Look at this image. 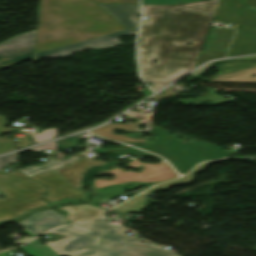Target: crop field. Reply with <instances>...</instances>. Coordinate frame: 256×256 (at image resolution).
Masks as SVG:
<instances>
[{"instance_id": "obj_1", "label": "crop field", "mask_w": 256, "mask_h": 256, "mask_svg": "<svg viewBox=\"0 0 256 256\" xmlns=\"http://www.w3.org/2000/svg\"><path fill=\"white\" fill-rule=\"evenodd\" d=\"M219 0L172 6L143 5L139 38L142 76L157 90L193 69ZM191 41V45H185ZM157 60L151 64V60Z\"/></svg>"}, {"instance_id": "obj_2", "label": "crop field", "mask_w": 256, "mask_h": 256, "mask_svg": "<svg viewBox=\"0 0 256 256\" xmlns=\"http://www.w3.org/2000/svg\"><path fill=\"white\" fill-rule=\"evenodd\" d=\"M38 20L35 52L124 30L92 0H41Z\"/></svg>"}, {"instance_id": "obj_3", "label": "crop field", "mask_w": 256, "mask_h": 256, "mask_svg": "<svg viewBox=\"0 0 256 256\" xmlns=\"http://www.w3.org/2000/svg\"><path fill=\"white\" fill-rule=\"evenodd\" d=\"M104 221L63 227L50 233L64 235L47 244L60 256H176L148 243H140Z\"/></svg>"}, {"instance_id": "obj_4", "label": "crop field", "mask_w": 256, "mask_h": 256, "mask_svg": "<svg viewBox=\"0 0 256 256\" xmlns=\"http://www.w3.org/2000/svg\"><path fill=\"white\" fill-rule=\"evenodd\" d=\"M156 130L158 135L151 144L136 146L165 157L181 174L187 173L198 162L231 154L212 144L191 137L189 138L195 142L184 144L174 138L184 135L174 134L169 136L170 132H167L166 129L158 128Z\"/></svg>"}, {"instance_id": "obj_5", "label": "crop field", "mask_w": 256, "mask_h": 256, "mask_svg": "<svg viewBox=\"0 0 256 256\" xmlns=\"http://www.w3.org/2000/svg\"><path fill=\"white\" fill-rule=\"evenodd\" d=\"M0 188L7 198L0 199V222L22 216L26 211L47 206L46 187L16 170L0 174Z\"/></svg>"}, {"instance_id": "obj_6", "label": "crop field", "mask_w": 256, "mask_h": 256, "mask_svg": "<svg viewBox=\"0 0 256 256\" xmlns=\"http://www.w3.org/2000/svg\"><path fill=\"white\" fill-rule=\"evenodd\" d=\"M138 159L139 158L133 160L130 163H127L126 165L132 168H138L140 167V165L144 166V170L141 171L139 174L132 171L124 172L117 167L112 170L97 173L102 174L110 172L116 176L113 180L94 179L93 185L96 187H105L108 185L121 184L125 182H161L177 177V174L173 172L172 168L167 162H162L163 165H160V163L156 165H151L139 163Z\"/></svg>"}, {"instance_id": "obj_7", "label": "crop field", "mask_w": 256, "mask_h": 256, "mask_svg": "<svg viewBox=\"0 0 256 256\" xmlns=\"http://www.w3.org/2000/svg\"><path fill=\"white\" fill-rule=\"evenodd\" d=\"M36 30L18 35L0 43V66L32 59L34 56Z\"/></svg>"}, {"instance_id": "obj_8", "label": "crop field", "mask_w": 256, "mask_h": 256, "mask_svg": "<svg viewBox=\"0 0 256 256\" xmlns=\"http://www.w3.org/2000/svg\"><path fill=\"white\" fill-rule=\"evenodd\" d=\"M134 34H137V31L124 30V31L104 35L92 40H87V41L55 48L52 50L40 52L35 54L34 58L49 57V56H51L52 58L66 57V56H69L74 51H78L86 48H106V47L120 44L118 37L134 35Z\"/></svg>"}, {"instance_id": "obj_9", "label": "crop field", "mask_w": 256, "mask_h": 256, "mask_svg": "<svg viewBox=\"0 0 256 256\" xmlns=\"http://www.w3.org/2000/svg\"><path fill=\"white\" fill-rule=\"evenodd\" d=\"M32 178L49 187L46 196L51 202H57L65 198L81 200L89 196L82 190L73 189L66 181L52 171L39 174Z\"/></svg>"}, {"instance_id": "obj_10", "label": "crop field", "mask_w": 256, "mask_h": 256, "mask_svg": "<svg viewBox=\"0 0 256 256\" xmlns=\"http://www.w3.org/2000/svg\"><path fill=\"white\" fill-rule=\"evenodd\" d=\"M40 213L41 215H39ZM67 221L66 215L58 214L53 210L48 209L36 212L27 219L18 221L16 223L37 236L49 229L56 228Z\"/></svg>"}, {"instance_id": "obj_11", "label": "crop field", "mask_w": 256, "mask_h": 256, "mask_svg": "<svg viewBox=\"0 0 256 256\" xmlns=\"http://www.w3.org/2000/svg\"><path fill=\"white\" fill-rule=\"evenodd\" d=\"M106 162L81 159L75 164L69 165L65 168H62L56 173L66 179L73 187L75 188H84L81 184V181L88 170L89 167L95 165H106Z\"/></svg>"}, {"instance_id": "obj_12", "label": "crop field", "mask_w": 256, "mask_h": 256, "mask_svg": "<svg viewBox=\"0 0 256 256\" xmlns=\"http://www.w3.org/2000/svg\"><path fill=\"white\" fill-rule=\"evenodd\" d=\"M126 29L137 30L139 22L132 17L140 14L139 5H100Z\"/></svg>"}, {"instance_id": "obj_13", "label": "crop field", "mask_w": 256, "mask_h": 256, "mask_svg": "<svg viewBox=\"0 0 256 256\" xmlns=\"http://www.w3.org/2000/svg\"><path fill=\"white\" fill-rule=\"evenodd\" d=\"M127 119L135 120V121H137V123L131 124V125H127V124H108V125L99 127L97 129L91 130V132L95 133V134H98V135H101V136H104V137H107V138H110V139L123 141V142H126V143L147 142L148 140L131 139L127 136L117 135V134L113 133L116 129L140 132L139 126L141 124H143V121L139 120V119L131 118V117H129Z\"/></svg>"}, {"instance_id": "obj_14", "label": "crop field", "mask_w": 256, "mask_h": 256, "mask_svg": "<svg viewBox=\"0 0 256 256\" xmlns=\"http://www.w3.org/2000/svg\"><path fill=\"white\" fill-rule=\"evenodd\" d=\"M69 212V222L90 221L101 217L107 210L99 209L89 205L61 207ZM75 209V210H73Z\"/></svg>"}, {"instance_id": "obj_15", "label": "crop field", "mask_w": 256, "mask_h": 256, "mask_svg": "<svg viewBox=\"0 0 256 256\" xmlns=\"http://www.w3.org/2000/svg\"><path fill=\"white\" fill-rule=\"evenodd\" d=\"M81 154H83V153H80L70 159H63V160L49 159V160H47L43 163H40L36 166L27 167V168H23V169H19V170L29 177L35 176L42 172H46V171H49L52 169L63 167L64 164H70V163L76 161L77 159H79L78 156Z\"/></svg>"}, {"instance_id": "obj_16", "label": "crop field", "mask_w": 256, "mask_h": 256, "mask_svg": "<svg viewBox=\"0 0 256 256\" xmlns=\"http://www.w3.org/2000/svg\"><path fill=\"white\" fill-rule=\"evenodd\" d=\"M254 74H256V67L221 74L209 81L256 82V77H252V75H254Z\"/></svg>"}, {"instance_id": "obj_17", "label": "crop field", "mask_w": 256, "mask_h": 256, "mask_svg": "<svg viewBox=\"0 0 256 256\" xmlns=\"http://www.w3.org/2000/svg\"><path fill=\"white\" fill-rule=\"evenodd\" d=\"M19 249L33 256H59L47 244L41 245L38 239L28 243L27 246L21 247Z\"/></svg>"}, {"instance_id": "obj_18", "label": "crop field", "mask_w": 256, "mask_h": 256, "mask_svg": "<svg viewBox=\"0 0 256 256\" xmlns=\"http://www.w3.org/2000/svg\"><path fill=\"white\" fill-rule=\"evenodd\" d=\"M146 203H147V200L144 198V195L140 194L113 209L122 213L138 211L142 209L143 205Z\"/></svg>"}, {"instance_id": "obj_19", "label": "crop field", "mask_w": 256, "mask_h": 256, "mask_svg": "<svg viewBox=\"0 0 256 256\" xmlns=\"http://www.w3.org/2000/svg\"><path fill=\"white\" fill-rule=\"evenodd\" d=\"M6 123V117L0 116V134L1 132H12V130L4 128ZM14 149H16L14 139L0 137V153Z\"/></svg>"}, {"instance_id": "obj_20", "label": "crop field", "mask_w": 256, "mask_h": 256, "mask_svg": "<svg viewBox=\"0 0 256 256\" xmlns=\"http://www.w3.org/2000/svg\"><path fill=\"white\" fill-rule=\"evenodd\" d=\"M223 160H224V159H223ZM210 162H213V161H210ZM207 163H209V162H205V163L199 165L198 167H196V168L194 169V171H193L192 173H190L188 176H186L185 178H183V179H181V180H176V181L168 182V183H166V184H164V185L157 186V187H155V188H153V189H151V190H149V191H147V192H145V193H146V194H149V193H151V192H153V191L156 192V191H158V190H164V189L169 188V186H170V185H173V184H178V183L185 184V183L191 181V179L193 178V174H194V173H196V172L202 170L204 167H206V164H207Z\"/></svg>"}, {"instance_id": "obj_21", "label": "crop field", "mask_w": 256, "mask_h": 256, "mask_svg": "<svg viewBox=\"0 0 256 256\" xmlns=\"http://www.w3.org/2000/svg\"><path fill=\"white\" fill-rule=\"evenodd\" d=\"M142 186H144V184L129 187V188L109 187V188L100 189L98 191L104 194V196L102 198L107 199V198L113 197V196L121 193L122 190H125V189L134 190V189L142 187Z\"/></svg>"}, {"instance_id": "obj_22", "label": "crop field", "mask_w": 256, "mask_h": 256, "mask_svg": "<svg viewBox=\"0 0 256 256\" xmlns=\"http://www.w3.org/2000/svg\"><path fill=\"white\" fill-rule=\"evenodd\" d=\"M226 52L202 50L196 64H200L206 60L213 58H220L225 55Z\"/></svg>"}, {"instance_id": "obj_23", "label": "crop field", "mask_w": 256, "mask_h": 256, "mask_svg": "<svg viewBox=\"0 0 256 256\" xmlns=\"http://www.w3.org/2000/svg\"><path fill=\"white\" fill-rule=\"evenodd\" d=\"M113 153L118 154V155H123L125 153H128V154L138 156V157H141V158H143V157H156V158L160 159L161 161L163 160V159L159 158L156 155H153V154H150V153H147V152H144V151H140V150L134 149L132 147H130L126 150L116 151V152H113Z\"/></svg>"}, {"instance_id": "obj_24", "label": "crop field", "mask_w": 256, "mask_h": 256, "mask_svg": "<svg viewBox=\"0 0 256 256\" xmlns=\"http://www.w3.org/2000/svg\"><path fill=\"white\" fill-rule=\"evenodd\" d=\"M54 136H56V130L55 129H48L43 130L42 133L34 135V142L39 143L46 140L52 139Z\"/></svg>"}, {"instance_id": "obj_25", "label": "crop field", "mask_w": 256, "mask_h": 256, "mask_svg": "<svg viewBox=\"0 0 256 256\" xmlns=\"http://www.w3.org/2000/svg\"><path fill=\"white\" fill-rule=\"evenodd\" d=\"M11 163H17L16 152L0 157V169L8 166Z\"/></svg>"}, {"instance_id": "obj_26", "label": "crop field", "mask_w": 256, "mask_h": 256, "mask_svg": "<svg viewBox=\"0 0 256 256\" xmlns=\"http://www.w3.org/2000/svg\"><path fill=\"white\" fill-rule=\"evenodd\" d=\"M171 89H173V88L169 87L166 90H164V94L163 95H156V96L152 97L151 99L160 101V100L165 99V98L182 95V94L170 91Z\"/></svg>"}, {"instance_id": "obj_27", "label": "crop field", "mask_w": 256, "mask_h": 256, "mask_svg": "<svg viewBox=\"0 0 256 256\" xmlns=\"http://www.w3.org/2000/svg\"><path fill=\"white\" fill-rule=\"evenodd\" d=\"M96 3H130L138 4V0H94Z\"/></svg>"}, {"instance_id": "obj_28", "label": "crop field", "mask_w": 256, "mask_h": 256, "mask_svg": "<svg viewBox=\"0 0 256 256\" xmlns=\"http://www.w3.org/2000/svg\"><path fill=\"white\" fill-rule=\"evenodd\" d=\"M43 149H46V150L52 149V152H56L55 142L47 144V145L39 146V147H36V148H32L31 151L39 152Z\"/></svg>"}, {"instance_id": "obj_29", "label": "crop field", "mask_w": 256, "mask_h": 256, "mask_svg": "<svg viewBox=\"0 0 256 256\" xmlns=\"http://www.w3.org/2000/svg\"><path fill=\"white\" fill-rule=\"evenodd\" d=\"M142 3L175 4L179 2L176 0H142Z\"/></svg>"}, {"instance_id": "obj_30", "label": "crop field", "mask_w": 256, "mask_h": 256, "mask_svg": "<svg viewBox=\"0 0 256 256\" xmlns=\"http://www.w3.org/2000/svg\"><path fill=\"white\" fill-rule=\"evenodd\" d=\"M16 142L18 148L31 145L30 139H18Z\"/></svg>"}, {"instance_id": "obj_31", "label": "crop field", "mask_w": 256, "mask_h": 256, "mask_svg": "<svg viewBox=\"0 0 256 256\" xmlns=\"http://www.w3.org/2000/svg\"><path fill=\"white\" fill-rule=\"evenodd\" d=\"M125 115L135 117V118H139V119H142V120H147V118L144 114H140V113L133 112V111H131V112L125 114Z\"/></svg>"}, {"instance_id": "obj_32", "label": "crop field", "mask_w": 256, "mask_h": 256, "mask_svg": "<svg viewBox=\"0 0 256 256\" xmlns=\"http://www.w3.org/2000/svg\"><path fill=\"white\" fill-rule=\"evenodd\" d=\"M210 65H211V64L209 63V64H207L206 66L200 68L199 70H197V71H195L194 73H192L191 76H194V75H198V74L203 73L204 71H206V70L210 67Z\"/></svg>"}, {"instance_id": "obj_33", "label": "crop field", "mask_w": 256, "mask_h": 256, "mask_svg": "<svg viewBox=\"0 0 256 256\" xmlns=\"http://www.w3.org/2000/svg\"><path fill=\"white\" fill-rule=\"evenodd\" d=\"M30 239H32V238L24 237V238H22V239L16 241L15 243L18 244V243L25 242V241L30 240Z\"/></svg>"}, {"instance_id": "obj_34", "label": "crop field", "mask_w": 256, "mask_h": 256, "mask_svg": "<svg viewBox=\"0 0 256 256\" xmlns=\"http://www.w3.org/2000/svg\"><path fill=\"white\" fill-rule=\"evenodd\" d=\"M180 3H183V2H189V1H195V0H178Z\"/></svg>"}, {"instance_id": "obj_35", "label": "crop field", "mask_w": 256, "mask_h": 256, "mask_svg": "<svg viewBox=\"0 0 256 256\" xmlns=\"http://www.w3.org/2000/svg\"><path fill=\"white\" fill-rule=\"evenodd\" d=\"M24 232H26L27 234H29L30 236H34L33 234H31L29 231H24Z\"/></svg>"}]
</instances>
